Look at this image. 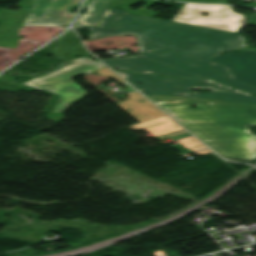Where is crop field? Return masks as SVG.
I'll return each mask as SVG.
<instances>
[{
	"label": "crop field",
	"instance_id": "1",
	"mask_svg": "<svg viewBox=\"0 0 256 256\" xmlns=\"http://www.w3.org/2000/svg\"><path fill=\"white\" fill-rule=\"evenodd\" d=\"M73 27L88 28V39L108 35L136 36L140 53L104 59L111 67L147 74L211 78L256 95V87L234 80L229 69L207 59L246 46L239 34L127 14L110 7L97 27Z\"/></svg>",
	"mask_w": 256,
	"mask_h": 256
},
{
	"label": "crop field",
	"instance_id": "2",
	"mask_svg": "<svg viewBox=\"0 0 256 256\" xmlns=\"http://www.w3.org/2000/svg\"><path fill=\"white\" fill-rule=\"evenodd\" d=\"M114 71L221 156L245 161L256 157V136L248 129L256 124V96L207 79ZM198 88L212 91H193Z\"/></svg>",
	"mask_w": 256,
	"mask_h": 256
},
{
	"label": "crop field",
	"instance_id": "3",
	"mask_svg": "<svg viewBox=\"0 0 256 256\" xmlns=\"http://www.w3.org/2000/svg\"><path fill=\"white\" fill-rule=\"evenodd\" d=\"M66 36H61L55 40L57 47L53 50L58 57L62 58L60 66L53 71L23 82L31 87L59 95L58 103L53 107L55 113H63L71 105L84 97L87 92L76 85L71 79L78 74H87L93 70L104 67L103 64L88 58V52L82 44H78L74 39L77 38L72 29ZM80 49H83L80 51ZM80 54L81 58H75L73 55ZM70 63V65H67Z\"/></svg>",
	"mask_w": 256,
	"mask_h": 256
},
{
	"label": "crop field",
	"instance_id": "4",
	"mask_svg": "<svg viewBox=\"0 0 256 256\" xmlns=\"http://www.w3.org/2000/svg\"><path fill=\"white\" fill-rule=\"evenodd\" d=\"M80 2L81 0H21L19 6L22 8L18 12L0 8V23L13 26L67 25L73 16L70 10L72 7L79 6ZM26 6L32 7L27 9Z\"/></svg>",
	"mask_w": 256,
	"mask_h": 256
},
{
	"label": "crop field",
	"instance_id": "5",
	"mask_svg": "<svg viewBox=\"0 0 256 256\" xmlns=\"http://www.w3.org/2000/svg\"><path fill=\"white\" fill-rule=\"evenodd\" d=\"M203 12L210 15L201 16ZM174 21L236 32L246 22L244 15L231 10L230 6L185 4ZM243 20V23L240 21Z\"/></svg>",
	"mask_w": 256,
	"mask_h": 256
},
{
	"label": "crop field",
	"instance_id": "6",
	"mask_svg": "<svg viewBox=\"0 0 256 256\" xmlns=\"http://www.w3.org/2000/svg\"><path fill=\"white\" fill-rule=\"evenodd\" d=\"M230 69L236 80L256 86V51L249 49L209 58Z\"/></svg>",
	"mask_w": 256,
	"mask_h": 256
},
{
	"label": "crop field",
	"instance_id": "7",
	"mask_svg": "<svg viewBox=\"0 0 256 256\" xmlns=\"http://www.w3.org/2000/svg\"><path fill=\"white\" fill-rule=\"evenodd\" d=\"M177 125V123L164 115L134 125H130L129 127L133 130L143 128L152 136H159L160 138L165 139L170 136L186 133L182 127Z\"/></svg>",
	"mask_w": 256,
	"mask_h": 256
},
{
	"label": "crop field",
	"instance_id": "8",
	"mask_svg": "<svg viewBox=\"0 0 256 256\" xmlns=\"http://www.w3.org/2000/svg\"><path fill=\"white\" fill-rule=\"evenodd\" d=\"M110 0H86L85 14H79L75 24L96 25Z\"/></svg>",
	"mask_w": 256,
	"mask_h": 256
},
{
	"label": "crop field",
	"instance_id": "9",
	"mask_svg": "<svg viewBox=\"0 0 256 256\" xmlns=\"http://www.w3.org/2000/svg\"><path fill=\"white\" fill-rule=\"evenodd\" d=\"M20 27L0 25V46L14 48L18 41V30ZM2 36H5L4 38Z\"/></svg>",
	"mask_w": 256,
	"mask_h": 256
},
{
	"label": "crop field",
	"instance_id": "10",
	"mask_svg": "<svg viewBox=\"0 0 256 256\" xmlns=\"http://www.w3.org/2000/svg\"><path fill=\"white\" fill-rule=\"evenodd\" d=\"M177 142H179L185 148L201 145V143L199 141H197L193 137L182 139V140H178Z\"/></svg>",
	"mask_w": 256,
	"mask_h": 256
},
{
	"label": "crop field",
	"instance_id": "11",
	"mask_svg": "<svg viewBox=\"0 0 256 256\" xmlns=\"http://www.w3.org/2000/svg\"><path fill=\"white\" fill-rule=\"evenodd\" d=\"M173 1H191V2H215V3H227L225 0H173Z\"/></svg>",
	"mask_w": 256,
	"mask_h": 256
},
{
	"label": "crop field",
	"instance_id": "12",
	"mask_svg": "<svg viewBox=\"0 0 256 256\" xmlns=\"http://www.w3.org/2000/svg\"><path fill=\"white\" fill-rule=\"evenodd\" d=\"M249 25H256V15H254L249 21H248Z\"/></svg>",
	"mask_w": 256,
	"mask_h": 256
},
{
	"label": "crop field",
	"instance_id": "13",
	"mask_svg": "<svg viewBox=\"0 0 256 256\" xmlns=\"http://www.w3.org/2000/svg\"><path fill=\"white\" fill-rule=\"evenodd\" d=\"M244 6H253L256 7V2H251V3H247V4H243Z\"/></svg>",
	"mask_w": 256,
	"mask_h": 256
},
{
	"label": "crop field",
	"instance_id": "14",
	"mask_svg": "<svg viewBox=\"0 0 256 256\" xmlns=\"http://www.w3.org/2000/svg\"><path fill=\"white\" fill-rule=\"evenodd\" d=\"M124 85H126L128 87L126 90H128V91H133L134 90V89H132L133 87L131 88L130 86H128L129 84L128 85L124 84Z\"/></svg>",
	"mask_w": 256,
	"mask_h": 256
}]
</instances>
